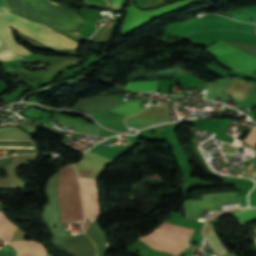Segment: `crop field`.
I'll return each mask as SVG.
<instances>
[{"label": "crop field", "mask_w": 256, "mask_h": 256, "mask_svg": "<svg viewBox=\"0 0 256 256\" xmlns=\"http://www.w3.org/2000/svg\"><path fill=\"white\" fill-rule=\"evenodd\" d=\"M0 10L9 11L6 0H0ZM7 25H12L21 33L35 37L39 41L49 46H52L55 49L79 46L78 43H75L67 39L63 35L54 32L53 30L47 28L46 26L31 21H27L15 14L0 11V35L9 45V47H11L15 52L21 55L27 56L31 52H29L26 48L18 44L13 39L11 29Z\"/></svg>", "instance_id": "crop-field-1"}, {"label": "crop field", "mask_w": 256, "mask_h": 256, "mask_svg": "<svg viewBox=\"0 0 256 256\" xmlns=\"http://www.w3.org/2000/svg\"><path fill=\"white\" fill-rule=\"evenodd\" d=\"M59 200L63 223L83 220L80 187L72 165L60 170Z\"/></svg>", "instance_id": "crop-field-2"}, {"label": "crop field", "mask_w": 256, "mask_h": 256, "mask_svg": "<svg viewBox=\"0 0 256 256\" xmlns=\"http://www.w3.org/2000/svg\"><path fill=\"white\" fill-rule=\"evenodd\" d=\"M195 2H196L195 0H183V1L171 4V5L163 6V7L153 9V10H148V11H141L138 8H136L135 6H132L128 16L126 15L127 22L122 31L129 34L130 32L134 31L135 29L139 28L140 26L144 25L145 23H147L157 17L178 11V10L188 6L189 4L195 3ZM131 5H133L132 0H131ZM131 5L128 6L124 10L129 11ZM124 19L126 21V17ZM125 21L123 22V25H124ZM125 35L126 34L121 32V37H123Z\"/></svg>", "instance_id": "crop-field-3"}, {"label": "crop field", "mask_w": 256, "mask_h": 256, "mask_svg": "<svg viewBox=\"0 0 256 256\" xmlns=\"http://www.w3.org/2000/svg\"><path fill=\"white\" fill-rule=\"evenodd\" d=\"M207 52L232 67L249 74L256 69V57L243 53L222 41L208 47Z\"/></svg>", "instance_id": "crop-field-4"}, {"label": "crop field", "mask_w": 256, "mask_h": 256, "mask_svg": "<svg viewBox=\"0 0 256 256\" xmlns=\"http://www.w3.org/2000/svg\"><path fill=\"white\" fill-rule=\"evenodd\" d=\"M112 159L89 152L79 163L75 164L79 177L97 178L102 169Z\"/></svg>", "instance_id": "crop-field-5"}, {"label": "crop field", "mask_w": 256, "mask_h": 256, "mask_svg": "<svg viewBox=\"0 0 256 256\" xmlns=\"http://www.w3.org/2000/svg\"><path fill=\"white\" fill-rule=\"evenodd\" d=\"M254 88L255 85L253 84L240 82L234 79L231 84L226 87L225 91L243 101Z\"/></svg>", "instance_id": "crop-field-6"}, {"label": "crop field", "mask_w": 256, "mask_h": 256, "mask_svg": "<svg viewBox=\"0 0 256 256\" xmlns=\"http://www.w3.org/2000/svg\"><path fill=\"white\" fill-rule=\"evenodd\" d=\"M58 123L62 125L75 127L76 131H80V132L95 135V136H97L100 131V128L98 127H95L77 120L61 117V116L59 118Z\"/></svg>", "instance_id": "crop-field-7"}, {"label": "crop field", "mask_w": 256, "mask_h": 256, "mask_svg": "<svg viewBox=\"0 0 256 256\" xmlns=\"http://www.w3.org/2000/svg\"><path fill=\"white\" fill-rule=\"evenodd\" d=\"M17 226L9 221L3 210L0 211V236L5 239L7 242L11 239L13 232Z\"/></svg>", "instance_id": "crop-field-8"}, {"label": "crop field", "mask_w": 256, "mask_h": 256, "mask_svg": "<svg viewBox=\"0 0 256 256\" xmlns=\"http://www.w3.org/2000/svg\"><path fill=\"white\" fill-rule=\"evenodd\" d=\"M169 120V116L126 119L127 126L141 128L146 125Z\"/></svg>", "instance_id": "crop-field-9"}, {"label": "crop field", "mask_w": 256, "mask_h": 256, "mask_svg": "<svg viewBox=\"0 0 256 256\" xmlns=\"http://www.w3.org/2000/svg\"><path fill=\"white\" fill-rule=\"evenodd\" d=\"M125 90L132 92L157 91V81L128 83Z\"/></svg>", "instance_id": "crop-field-10"}, {"label": "crop field", "mask_w": 256, "mask_h": 256, "mask_svg": "<svg viewBox=\"0 0 256 256\" xmlns=\"http://www.w3.org/2000/svg\"><path fill=\"white\" fill-rule=\"evenodd\" d=\"M139 104H140V102L131 101L122 106L114 108L110 111L129 116V115L135 114V113L141 111L142 109H144V108L140 107Z\"/></svg>", "instance_id": "crop-field-11"}, {"label": "crop field", "mask_w": 256, "mask_h": 256, "mask_svg": "<svg viewBox=\"0 0 256 256\" xmlns=\"http://www.w3.org/2000/svg\"><path fill=\"white\" fill-rule=\"evenodd\" d=\"M240 224L256 219V209H244L242 211L230 214Z\"/></svg>", "instance_id": "crop-field-12"}, {"label": "crop field", "mask_w": 256, "mask_h": 256, "mask_svg": "<svg viewBox=\"0 0 256 256\" xmlns=\"http://www.w3.org/2000/svg\"><path fill=\"white\" fill-rule=\"evenodd\" d=\"M207 239L212 244V246L218 251L220 255L227 252L224 246L221 244V242L217 238V236L215 235L213 228L210 229V231L208 232Z\"/></svg>", "instance_id": "crop-field-13"}, {"label": "crop field", "mask_w": 256, "mask_h": 256, "mask_svg": "<svg viewBox=\"0 0 256 256\" xmlns=\"http://www.w3.org/2000/svg\"><path fill=\"white\" fill-rule=\"evenodd\" d=\"M0 59L2 60H14L20 59L14 52H12L0 38Z\"/></svg>", "instance_id": "crop-field-14"}, {"label": "crop field", "mask_w": 256, "mask_h": 256, "mask_svg": "<svg viewBox=\"0 0 256 256\" xmlns=\"http://www.w3.org/2000/svg\"><path fill=\"white\" fill-rule=\"evenodd\" d=\"M245 142L253 145L256 147V126L254 127V129L250 132V134L248 135V137L245 139Z\"/></svg>", "instance_id": "crop-field-15"}, {"label": "crop field", "mask_w": 256, "mask_h": 256, "mask_svg": "<svg viewBox=\"0 0 256 256\" xmlns=\"http://www.w3.org/2000/svg\"><path fill=\"white\" fill-rule=\"evenodd\" d=\"M121 0H113V7L112 8H119Z\"/></svg>", "instance_id": "crop-field-16"}, {"label": "crop field", "mask_w": 256, "mask_h": 256, "mask_svg": "<svg viewBox=\"0 0 256 256\" xmlns=\"http://www.w3.org/2000/svg\"><path fill=\"white\" fill-rule=\"evenodd\" d=\"M156 1H162V0H146L147 4L154 3Z\"/></svg>", "instance_id": "crop-field-17"}]
</instances>
